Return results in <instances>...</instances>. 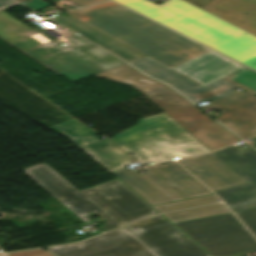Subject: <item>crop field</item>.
Segmentation results:
<instances>
[{"mask_svg":"<svg viewBox=\"0 0 256 256\" xmlns=\"http://www.w3.org/2000/svg\"><path fill=\"white\" fill-rule=\"evenodd\" d=\"M80 10L75 18L170 69L210 51L114 2Z\"/></svg>","mask_w":256,"mask_h":256,"instance_id":"obj_1","label":"crop field"},{"mask_svg":"<svg viewBox=\"0 0 256 256\" xmlns=\"http://www.w3.org/2000/svg\"><path fill=\"white\" fill-rule=\"evenodd\" d=\"M256 70V36L182 0H114Z\"/></svg>","mask_w":256,"mask_h":256,"instance_id":"obj_2","label":"crop field"},{"mask_svg":"<svg viewBox=\"0 0 256 256\" xmlns=\"http://www.w3.org/2000/svg\"><path fill=\"white\" fill-rule=\"evenodd\" d=\"M94 76L134 87L210 151L239 141V139L210 117L202 115L200 113L201 111L182 98L174 90L160 82L147 78L145 75L126 64Z\"/></svg>","mask_w":256,"mask_h":256,"instance_id":"obj_3","label":"crop field"},{"mask_svg":"<svg viewBox=\"0 0 256 256\" xmlns=\"http://www.w3.org/2000/svg\"><path fill=\"white\" fill-rule=\"evenodd\" d=\"M110 139L134 154L143 165L209 152L165 113L141 119L135 126Z\"/></svg>","mask_w":256,"mask_h":256,"instance_id":"obj_4","label":"crop field"},{"mask_svg":"<svg viewBox=\"0 0 256 256\" xmlns=\"http://www.w3.org/2000/svg\"><path fill=\"white\" fill-rule=\"evenodd\" d=\"M213 256H226L256 250V241L232 215L176 223Z\"/></svg>","mask_w":256,"mask_h":256,"instance_id":"obj_5","label":"crop field"},{"mask_svg":"<svg viewBox=\"0 0 256 256\" xmlns=\"http://www.w3.org/2000/svg\"><path fill=\"white\" fill-rule=\"evenodd\" d=\"M172 70L202 86L223 78L256 96V72L213 51Z\"/></svg>","mask_w":256,"mask_h":256,"instance_id":"obj_6","label":"crop field"},{"mask_svg":"<svg viewBox=\"0 0 256 256\" xmlns=\"http://www.w3.org/2000/svg\"><path fill=\"white\" fill-rule=\"evenodd\" d=\"M126 228L160 256H211L161 215Z\"/></svg>","mask_w":256,"mask_h":256,"instance_id":"obj_7","label":"crop field"},{"mask_svg":"<svg viewBox=\"0 0 256 256\" xmlns=\"http://www.w3.org/2000/svg\"><path fill=\"white\" fill-rule=\"evenodd\" d=\"M22 171H24L86 224L92 222L86 214L95 212L107 222V225L101 226L99 229L107 231L121 226L81 191L78 192L74 189L45 163L22 169Z\"/></svg>","mask_w":256,"mask_h":256,"instance_id":"obj_8","label":"crop field"},{"mask_svg":"<svg viewBox=\"0 0 256 256\" xmlns=\"http://www.w3.org/2000/svg\"><path fill=\"white\" fill-rule=\"evenodd\" d=\"M214 154L247 181L215 193L234 213L256 207V151L250 148L240 152L230 146Z\"/></svg>","mask_w":256,"mask_h":256,"instance_id":"obj_9","label":"crop field"},{"mask_svg":"<svg viewBox=\"0 0 256 256\" xmlns=\"http://www.w3.org/2000/svg\"><path fill=\"white\" fill-rule=\"evenodd\" d=\"M55 256H156L125 230H114L72 245L47 248Z\"/></svg>","mask_w":256,"mask_h":256,"instance_id":"obj_10","label":"crop field"},{"mask_svg":"<svg viewBox=\"0 0 256 256\" xmlns=\"http://www.w3.org/2000/svg\"><path fill=\"white\" fill-rule=\"evenodd\" d=\"M82 192L122 225L157 213L118 180Z\"/></svg>","mask_w":256,"mask_h":256,"instance_id":"obj_11","label":"crop field"},{"mask_svg":"<svg viewBox=\"0 0 256 256\" xmlns=\"http://www.w3.org/2000/svg\"><path fill=\"white\" fill-rule=\"evenodd\" d=\"M49 128L70 139L109 172L121 169L133 161L111 141L108 139L101 141L95 136L98 133L73 119Z\"/></svg>","mask_w":256,"mask_h":256,"instance_id":"obj_12","label":"crop field"},{"mask_svg":"<svg viewBox=\"0 0 256 256\" xmlns=\"http://www.w3.org/2000/svg\"><path fill=\"white\" fill-rule=\"evenodd\" d=\"M210 108L222 110V116L216 119L241 138L256 136L255 96L243 91L202 109Z\"/></svg>","mask_w":256,"mask_h":256,"instance_id":"obj_13","label":"crop field"},{"mask_svg":"<svg viewBox=\"0 0 256 256\" xmlns=\"http://www.w3.org/2000/svg\"><path fill=\"white\" fill-rule=\"evenodd\" d=\"M212 191L246 182L213 153L178 161Z\"/></svg>","mask_w":256,"mask_h":256,"instance_id":"obj_14","label":"crop field"},{"mask_svg":"<svg viewBox=\"0 0 256 256\" xmlns=\"http://www.w3.org/2000/svg\"><path fill=\"white\" fill-rule=\"evenodd\" d=\"M147 171V174L140 176L134 171L123 168L112 174L122 180L150 205L185 198L151 169L147 168Z\"/></svg>","mask_w":256,"mask_h":256,"instance_id":"obj_15","label":"crop field"},{"mask_svg":"<svg viewBox=\"0 0 256 256\" xmlns=\"http://www.w3.org/2000/svg\"><path fill=\"white\" fill-rule=\"evenodd\" d=\"M202 8L242 28L256 20V0H212Z\"/></svg>","mask_w":256,"mask_h":256,"instance_id":"obj_16","label":"crop field"},{"mask_svg":"<svg viewBox=\"0 0 256 256\" xmlns=\"http://www.w3.org/2000/svg\"><path fill=\"white\" fill-rule=\"evenodd\" d=\"M151 169L186 198L210 194L208 189L181 168L176 162L151 167Z\"/></svg>","mask_w":256,"mask_h":256,"instance_id":"obj_17","label":"crop field"},{"mask_svg":"<svg viewBox=\"0 0 256 256\" xmlns=\"http://www.w3.org/2000/svg\"><path fill=\"white\" fill-rule=\"evenodd\" d=\"M129 63L143 73L171 85L178 91L200 87V85L194 83L193 81L171 71L170 69L147 57Z\"/></svg>","mask_w":256,"mask_h":256,"instance_id":"obj_18","label":"crop field"},{"mask_svg":"<svg viewBox=\"0 0 256 256\" xmlns=\"http://www.w3.org/2000/svg\"><path fill=\"white\" fill-rule=\"evenodd\" d=\"M234 88L238 87L221 79L204 87L181 91V93H183L195 104H198L206 101L221 99L231 95L234 93L232 90Z\"/></svg>","mask_w":256,"mask_h":256,"instance_id":"obj_19","label":"crop field"},{"mask_svg":"<svg viewBox=\"0 0 256 256\" xmlns=\"http://www.w3.org/2000/svg\"><path fill=\"white\" fill-rule=\"evenodd\" d=\"M226 212H230V211H228L224 205L215 204V205L204 206V207H199L194 209L172 212V213L164 214L163 216H165L172 223H175L179 221L195 219V218H200V217H205V216H210V215H215L220 213H226Z\"/></svg>","mask_w":256,"mask_h":256,"instance_id":"obj_20","label":"crop field"},{"mask_svg":"<svg viewBox=\"0 0 256 256\" xmlns=\"http://www.w3.org/2000/svg\"><path fill=\"white\" fill-rule=\"evenodd\" d=\"M218 199L219 198H217L216 196L211 195V196L195 198V199H190V200H185V201L155 205L153 207H155L160 212H163V211L181 209V208L198 206V205H203V204L215 203L216 200H218Z\"/></svg>","mask_w":256,"mask_h":256,"instance_id":"obj_21","label":"crop field"},{"mask_svg":"<svg viewBox=\"0 0 256 256\" xmlns=\"http://www.w3.org/2000/svg\"><path fill=\"white\" fill-rule=\"evenodd\" d=\"M243 224L256 236V208L236 213Z\"/></svg>","mask_w":256,"mask_h":256,"instance_id":"obj_22","label":"crop field"},{"mask_svg":"<svg viewBox=\"0 0 256 256\" xmlns=\"http://www.w3.org/2000/svg\"><path fill=\"white\" fill-rule=\"evenodd\" d=\"M8 256H54L50 251H43L42 249L23 251Z\"/></svg>","mask_w":256,"mask_h":256,"instance_id":"obj_23","label":"crop field"},{"mask_svg":"<svg viewBox=\"0 0 256 256\" xmlns=\"http://www.w3.org/2000/svg\"><path fill=\"white\" fill-rule=\"evenodd\" d=\"M69 1L83 7V6L91 5V4L98 3L105 0H69Z\"/></svg>","mask_w":256,"mask_h":256,"instance_id":"obj_24","label":"crop field"},{"mask_svg":"<svg viewBox=\"0 0 256 256\" xmlns=\"http://www.w3.org/2000/svg\"><path fill=\"white\" fill-rule=\"evenodd\" d=\"M186 1L201 7V6L205 5L206 3H208L211 0H186Z\"/></svg>","mask_w":256,"mask_h":256,"instance_id":"obj_25","label":"crop field"},{"mask_svg":"<svg viewBox=\"0 0 256 256\" xmlns=\"http://www.w3.org/2000/svg\"><path fill=\"white\" fill-rule=\"evenodd\" d=\"M15 2L11 0H0V9L6 6H9L11 4H14Z\"/></svg>","mask_w":256,"mask_h":256,"instance_id":"obj_26","label":"crop field"},{"mask_svg":"<svg viewBox=\"0 0 256 256\" xmlns=\"http://www.w3.org/2000/svg\"><path fill=\"white\" fill-rule=\"evenodd\" d=\"M254 34H256V21L253 22L252 24H250L249 26H247L246 28H244Z\"/></svg>","mask_w":256,"mask_h":256,"instance_id":"obj_27","label":"crop field"},{"mask_svg":"<svg viewBox=\"0 0 256 256\" xmlns=\"http://www.w3.org/2000/svg\"><path fill=\"white\" fill-rule=\"evenodd\" d=\"M67 13L75 17V16H77V15L83 13V12L80 11L79 9H77V10H74V11H67Z\"/></svg>","mask_w":256,"mask_h":256,"instance_id":"obj_28","label":"crop field"},{"mask_svg":"<svg viewBox=\"0 0 256 256\" xmlns=\"http://www.w3.org/2000/svg\"><path fill=\"white\" fill-rule=\"evenodd\" d=\"M254 140V143H253V147L256 148V137L255 138H252Z\"/></svg>","mask_w":256,"mask_h":256,"instance_id":"obj_29","label":"crop field"},{"mask_svg":"<svg viewBox=\"0 0 256 256\" xmlns=\"http://www.w3.org/2000/svg\"><path fill=\"white\" fill-rule=\"evenodd\" d=\"M17 1H19V2H21V3H22V2H25V1H28V0H17Z\"/></svg>","mask_w":256,"mask_h":256,"instance_id":"obj_30","label":"crop field"},{"mask_svg":"<svg viewBox=\"0 0 256 256\" xmlns=\"http://www.w3.org/2000/svg\"><path fill=\"white\" fill-rule=\"evenodd\" d=\"M2 253L0 252V255H1Z\"/></svg>","mask_w":256,"mask_h":256,"instance_id":"obj_31","label":"crop field"}]
</instances>
